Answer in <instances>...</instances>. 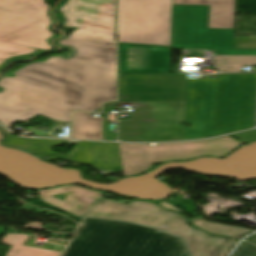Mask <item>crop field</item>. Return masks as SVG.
Returning <instances> with one entry per match:
<instances>
[{
  "mask_svg": "<svg viewBox=\"0 0 256 256\" xmlns=\"http://www.w3.org/2000/svg\"><path fill=\"white\" fill-rule=\"evenodd\" d=\"M118 42L171 45L172 0H117Z\"/></svg>",
  "mask_w": 256,
  "mask_h": 256,
  "instance_id": "5",
  "label": "crop field"
},
{
  "mask_svg": "<svg viewBox=\"0 0 256 256\" xmlns=\"http://www.w3.org/2000/svg\"><path fill=\"white\" fill-rule=\"evenodd\" d=\"M171 46L119 43V73H170Z\"/></svg>",
  "mask_w": 256,
  "mask_h": 256,
  "instance_id": "9",
  "label": "crop field"
},
{
  "mask_svg": "<svg viewBox=\"0 0 256 256\" xmlns=\"http://www.w3.org/2000/svg\"><path fill=\"white\" fill-rule=\"evenodd\" d=\"M120 102L185 101V74H119Z\"/></svg>",
  "mask_w": 256,
  "mask_h": 256,
  "instance_id": "8",
  "label": "crop field"
},
{
  "mask_svg": "<svg viewBox=\"0 0 256 256\" xmlns=\"http://www.w3.org/2000/svg\"><path fill=\"white\" fill-rule=\"evenodd\" d=\"M85 29L115 36L112 22L86 17Z\"/></svg>",
  "mask_w": 256,
  "mask_h": 256,
  "instance_id": "20",
  "label": "crop field"
},
{
  "mask_svg": "<svg viewBox=\"0 0 256 256\" xmlns=\"http://www.w3.org/2000/svg\"><path fill=\"white\" fill-rule=\"evenodd\" d=\"M235 49H256V38L235 37Z\"/></svg>",
  "mask_w": 256,
  "mask_h": 256,
  "instance_id": "21",
  "label": "crop field"
},
{
  "mask_svg": "<svg viewBox=\"0 0 256 256\" xmlns=\"http://www.w3.org/2000/svg\"><path fill=\"white\" fill-rule=\"evenodd\" d=\"M38 193L43 201L78 216L104 194L78 186L60 187Z\"/></svg>",
  "mask_w": 256,
  "mask_h": 256,
  "instance_id": "10",
  "label": "crop field"
},
{
  "mask_svg": "<svg viewBox=\"0 0 256 256\" xmlns=\"http://www.w3.org/2000/svg\"><path fill=\"white\" fill-rule=\"evenodd\" d=\"M153 163L169 160L192 159L199 156L198 141L150 146Z\"/></svg>",
  "mask_w": 256,
  "mask_h": 256,
  "instance_id": "14",
  "label": "crop field"
},
{
  "mask_svg": "<svg viewBox=\"0 0 256 256\" xmlns=\"http://www.w3.org/2000/svg\"><path fill=\"white\" fill-rule=\"evenodd\" d=\"M246 240L256 244V234L251 236V237H249V238H247Z\"/></svg>",
  "mask_w": 256,
  "mask_h": 256,
  "instance_id": "24",
  "label": "crop field"
},
{
  "mask_svg": "<svg viewBox=\"0 0 256 256\" xmlns=\"http://www.w3.org/2000/svg\"><path fill=\"white\" fill-rule=\"evenodd\" d=\"M124 175L142 172L152 166L149 144L118 143Z\"/></svg>",
  "mask_w": 256,
  "mask_h": 256,
  "instance_id": "12",
  "label": "crop field"
},
{
  "mask_svg": "<svg viewBox=\"0 0 256 256\" xmlns=\"http://www.w3.org/2000/svg\"><path fill=\"white\" fill-rule=\"evenodd\" d=\"M57 43L70 51L0 79V122L7 127L37 114L70 122L73 110L95 111L117 98L115 37L73 28Z\"/></svg>",
  "mask_w": 256,
  "mask_h": 256,
  "instance_id": "1",
  "label": "crop field"
},
{
  "mask_svg": "<svg viewBox=\"0 0 256 256\" xmlns=\"http://www.w3.org/2000/svg\"><path fill=\"white\" fill-rule=\"evenodd\" d=\"M240 145L229 137H219L211 140L199 141V154L223 157Z\"/></svg>",
  "mask_w": 256,
  "mask_h": 256,
  "instance_id": "17",
  "label": "crop field"
},
{
  "mask_svg": "<svg viewBox=\"0 0 256 256\" xmlns=\"http://www.w3.org/2000/svg\"><path fill=\"white\" fill-rule=\"evenodd\" d=\"M58 10H67L62 13V17L67 19L62 24L64 27L84 29L85 16L114 22V0H70Z\"/></svg>",
  "mask_w": 256,
  "mask_h": 256,
  "instance_id": "11",
  "label": "crop field"
},
{
  "mask_svg": "<svg viewBox=\"0 0 256 256\" xmlns=\"http://www.w3.org/2000/svg\"><path fill=\"white\" fill-rule=\"evenodd\" d=\"M209 5H174L172 47L215 48V55H256L235 50L234 29H208Z\"/></svg>",
  "mask_w": 256,
  "mask_h": 256,
  "instance_id": "6",
  "label": "crop field"
},
{
  "mask_svg": "<svg viewBox=\"0 0 256 256\" xmlns=\"http://www.w3.org/2000/svg\"><path fill=\"white\" fill-rule=\"evenodd\" d=\"M63 256H189L182 239L124 222L87 218Z\"/></svg>",
  "mask_w": 256,
  "mask_h": 256,
  "instance_id": "4",
  "label": "crop field"
},
{
  "mask_svg": "<svg viewBox=\"0 0 256 256\" xmlns=\"http://www.w3.org/2000/svg\"><path fill=\"white\" fill-rule=\"evenodd\" d=\"M83 216L124 220L170 232L186 240L193 256H227L240 237L254 231L211 223L203 218L193 219V223L199 228L231 237L209 235L188 226V221L182 214L168 211L154 202L137 199L126 205L101 198Z\"/></svg>",
  "mask_w": 256,
  "mask_h": 256,
  "instance_id": "3",
  "label": "crop field"
},
{
  "mask_svg": "<svg viewBox=\"0 0 256 256\" xmlns=\"http://www.w3.org/2000/svg\"><path fill=\"white\" fill-rule=\"evenodd\" d=\"M236 0H173L174 4H210L209 28H234Z\"/></svg>",
  "mask_w": 256,
  "mask_h": 256,
  "instance_id": "13",
  "label": "crop field"
},
{
  "mask_svg": "<svg viewBox=\"0 0 256 256\" xmlns=\"http://www.w3.org/2000/svg\"><path fill=\"white\" fill-rule=\"evenodd\" d=\"M45 0H0V41L49 50L46 39L55 35Z\"/></svg>",
  "mask_w": 256,
  "mask_h": 256,
  "instance_id": "7",
  "label": "crop field"
},
{
  "mask_svg": "<svg viewBox=\"0 0 256 256\" xmlns=\"http://www.w3.org/2000/svg\"><path fill=\"white\" fill-rule=\"evenodd\" d=\"M256 74H219L218 79H186L184 139L254 127Z\"/></svg>",
  "mask_w": 256,
  "mask_h": 256,
  "instance_id": "2",
  "label": "crop field"
},
{
  "mask_svg": "<svg viewBox=\"0 0 256 256\" xmlns=\"http://www.w3.org/2000/svg\"><path fill=\"white\" fill-rule=\"evenodd\" d=\"M234 136L238 137L239 139L247 142L256 139V130H251L243 133L234 134Z\"/></svg>",
  "mask_w": 256,
  "mask_h": 256,
  "instance_id": "23",
  "label": "crop field"
},
{
  "mask_svg": "<svg viewBox=\"0 0 256 256\" xmlns=\"http://www.w3.org/2000/svg\"><path fill=\"white\" fill-rule=\"evenodd\" d=\"M45 51L21 45L0 42V69L12 58H24Z\"/></svg>",
  "mask_w": 256,
  "mask_h": 256,
  "instance_id": "18",
  "label": "crop field"
},
{
  "mask_svg": "<svg viewBox=\"0 0 256 256\" xmlns=\"http://www.w3.org/2000/svg\"><path fill=\"white\" fill-rule=\"evenodd\" d=\"M233 256H256V247L242 242Z\"/></svg>",
  "mask_w": 256,
  "mask_h": 256,
  "instance_id": "22",
  "label": "crop field"
},
{
  "mask_svg": "<svg viewBox=\"0 0 256 256\" xmlns=\"http://www.w3.org/2000/svg\"><path fill=\"white\" fill-rule=\"evenodd\" d=\"M29 235L6 234L1 243L12 245L6 256H59L60 251L23 245Z\"/></svg>",
  "mask_w": 256,
  "mask_h": 256,
  "instance_id": "16",
  "label": "crop field"
},
{
  "mask_svg": "<svg viewBox=\"0 0 256 256\" xmlns=\"http://www.w3.org/2000/svg\"><path fill=\"white\" fill-rule=\"evenodd\" d=\"M245 65H256V56H216V66L221 72H241Z\"/></svg>",
  "mask_w": 256,
  "mask_h": 256,
  "instance_id": "19",
  "label": "crop field"
},
{
  "mask_svg": "<svg viewBox=\"0 0 256 256\" xmlns=\"http://www.w3.org/2000/svg\"><path fill=\"white\" fill-rule=\"evenodd\" d=\"M102 120L105 118L91 117L90 113H74L75 138L103 140Z\"/></svg>",
  "mask_w": 256,
  "mask_h": 256,
  "instance_id": "15",
  "label": "crop field"
}]
</instances>
